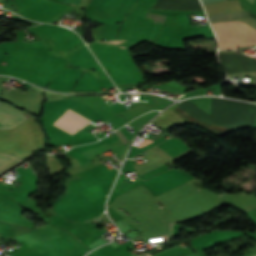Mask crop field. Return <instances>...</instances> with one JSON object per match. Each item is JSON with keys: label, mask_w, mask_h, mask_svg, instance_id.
Instances as JSON below:
<instances>
[{"label": "crop field", "mask_w": 256, "mask_h": 256, "mask_svg": "<svg viewBox=\"0 0 256 256\" xmlns=\"http://www.w3.org/2000/svg\"><path fill=\"white\" fill-rule=\"evenodd\" d=\"M211 25L220 49H236V47L256 44V30L243 22L233 21Z\"/></svg>", "instance_id": "8a807250"}, {"label": "crop field", "mask_w": 256, "mask_h": 256, "mask_svg": "<svg viewBox=\"0 0 256 256\" xmlns=\"http://www.w3.org/2000/svg\"><path fill=\"white\" fill-rule=\"evenodd\" d=\"M27 113L21 112L12 106L0 102V129L9 130L20 125L27 118L32 117Z\"/></svg>", "instance_id": "ac0d7876"}, {"label": "crop field", "mask_w": 256, "mask_h": 256, "mask_svg": "<svg viewBox=\"0 0 256 256\" xmlns=\"http://www.w3.org/2000/svg\"><path fill=\"white\" fill-rule=\"evenodd\" d=\"M90 122V120L68 109L67 112L54 123V125L73 135Z\"/></svg>", "instance_id": "34b2d1b8"}, {"label": "crop field", "mask_w": 256, "mask_h": 256, "mask_svg": "<svg viewBox=\"0 0 256 256\" xmlns=\"http://www.w3.org/2000/svg\"><path fill=\"white\" fill-rule=\"evenodd\" d=\"M21 162H23V160L13 155L0 153V175Z\"/></svg>", "instance_id": "412701ff"}]
</instances>
